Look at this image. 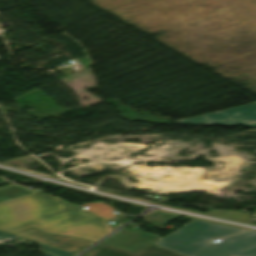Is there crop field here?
I'll return each instance as SVG.
<instances>
[{
  "label": "crop field",
  "instance_id": "obj_1",
  "mask_svg": "<svg viewBox=\"0 0 256 256\" xmlns=\"http://www.w3.org/2000/svg\"><path fill=\"white\" fill-rule=\"evenodd\" d=\"M73 205L45 193L0 205V230L16 232L34 226L50 233L98 241L124 223L110 228L104 221L115 217L106 204Z\"/></svg>",
  "mask_w": 256,
  "mask_h": 256
},
{
  "label": "crop field",
  "instance_id": "obj_2",
  "mask_svg": "<svg viewBox=\"0 0 256 256\" xmlns=\"http://www.w3.org/2000/svg\"><path fill=\"white\" fill-rule=\"evenodd\" d=\"M245 230L194 221L156 244L188 256H256V232L222 238L218 243L211 239L236 234Z\"/></svg>",
  "mask_w": 256,
  "mask_h": 256
},
{
  "label": "crop field",
  "instance_id": "obj_3",
  "mask_svg": "<svg viewBox=\"0 0 256 256\" xmlns=\"http://www.w3.org/2000/svg\"><path fill=\"white\" fill-rule=\"evenodd\" d=\"M173 123L191 125H243L256 127V103L226 109Z\"/></svg>",
  "mask_w": 256,
  "mask_h": 256
},
{
  "label": "crop field",
  "instance_id": "obj_4",
  "mask_svg": "<svg viewBox=\"0 0 256 256\" xmlns=\"http://www.w3.org/2000/svg\"><path fill=\"white\" fill-rule=\"evenodd\" d=\"M162 237L144 231L123 228L102 242V244L138 252Z\"/></svg>",
  "mask_w": 256,
  "mask_h": 256
},
{
  "label": "crop field",
  "instance_id": "obj_5",
  "mask_svg": "<svg viewBox=\"0 0 256 256\" xmlns=\"http://www.w3.org/2000/svg\"><path fill=\"white\" fill-rule=\"evenodd\" d=\"M15 235L21 236L26 239L34 240L40 243H44L59 249H63L72 253H79L86 247L90 246L92 243L65 236L50 235L36 229H28L20 231Z\"/></svg>",
  "mask_w": 256,
  "mask_h": 256
},
{
  "label": "crop field",
  "instance_id": "obj_6",
  "mask_svg": "<svg viewBox=\"0 0 256 256\" xmlns=\"http://www.w3.org/2000/svg\"><path fill=\"white\" fill-rule=\"evenodd\" d=\"M82 256H183L167 249L152 245L139 253H131L105 245H97Z\"/></svg>",
  "mask_w": 256,
  "mask_h": 256
},
{
  "label": "crop field",
  "instance_id": "obj_7",
  "mask_svg": "<svg viewBox=\"0 0 256 256\" xmlns=\"http://www.w3.org/2000/svg\"><path fill=\"white\" fill-rule=\"evenodd\" d=\"M41 192L43 191L39 189L31 190L27 187L15 185V184L8 185L0 188V204L17 200L30 195H34L37 193H41Z\"/></svg>",
  "mask_w": 256,
  "mask_h": 256
},
{
  "label": "crop field",
  "instance_id": "obj_8",
  "mask_svg": "<svg viewBox=\"0 0 256 256\" xmlns=\"http://www.w3.org/2000/svg\"><path fill=\"white\" fill-rule=\"evenodd\" d=\"M143 217H145L146 219H148L149 221H151L157 226H165L171 223L172 221L176 220L177 218H179V217H175V216L160 213V212H153V213L144 215Z\"/></svg>",
  "mask_w": 256,
  "mask_h": 256
},
{
  "label": "crop field",
  "instance_id": "obj_9",
  "mask_svg": "<svg viewBox=\"0 0 256 256\" xmlns=\"http://www.w3.org/2000/svg\"><path fill=\"white\" fill-rule=\"evenodd\" d=\"M36 245L40 246L42 249H44L46 251L53 252L59 256H76L75 254H72V253H69V252H66L63 250H59V249H56V248H53V247H50L47 245H43V244H39V243H37Z\"/></svg>",
  "mask_w": 256,
  "mask_h": 256
},
{
  "label": "crop field",
  "instance_id": "obj_10",
  "mask_svg": "<svg viewBox=\"0 0 256 256\" xmlns=\"http://www.w3.org/2000/svg\"><path fill=\"white\" fill-rule=\"evenodd\" d=\"M18 238V236H13L10 234H6L3 232H0V244L5 243V242H10Z\"/></svg>",
  "mask_w": 256,
  "mask_h": 256
},
{
  "label": "crop field",
  "instance_id": "obj_11",
  "mask_svg": "<svg viewBox=\"0 0 256 256\" xmlns=\"http://www.w3.org/2000/svg\"><path fill=\"white\" fill-rule=\"evenodd\" d=\"M43 256H53V255H51V254L45 252V253L43 254Z\"/></svg>",
  "mask_w": 256,
  "mask_h": 256
}]
</instances>
